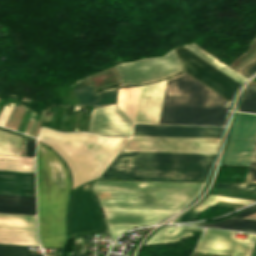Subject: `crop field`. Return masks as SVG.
Returning a JSON list of instances; mask_svg holds the SVG:
<instances>
[{
    "mask_svg": "<svg viewBox=\"0 0 256 256\" xmlns=\"http://www.w3.org/2000/svg\"><path fill=\"white\" fill-rule=\"evenodd\" d=\"M245 182H256V141Z\"/></svg>",
    "mask_w": 256,
    "mask_h": 256,
    "instance_id": "750c4746",
    "label": "crop field"
},
{
    "mask_svg": "<svg viewBox=\"0 0 256 256\" xmlns=\"http://www.w3.org/2000/svg\"><path fill=\"white\" fill-rule=\"evenodd\" d=\"M223 127L135 124L133 135L220 138Z\"/></svg>",
    "mask_w": 256,
    "mask_h": 256,
    "instance_id": "5142ce71",
    "label": "crop field"
},
{
    "mask_svg": "<svg viewBox=\"0 0 256 256\" xmlns=\"http://www.w3.org/2000/svg\"><path fill=\"white\" fill-rule=\"evenodd\" d=\"M212 194L256 200V193H250V192H242V191H234V190L215 188Z\"/></svg>",
    "mask_w": 256,
    "mask_h": 256,
    "instance_id": "ae1a2a85",
    "label": "crop field"
},
{
    "mask_svg": "<svg viewBox=\"0 0 256 256\" xmlns=\"http://www.w3.org/2000/svg\"><path fill=\"white\" fill-rule=\"evenodd\" d=\"M0 194L35 196V173L0 171Z\"/></svg>",
    "mask_w": 256,
    "mask_h": 256,
    "instance_id": "733c2abd",
    "label": "crop field"
},
{
    "mask_svg": "<svg viewBox=\"0 0 256 256\" xmlns=\"http://www.w3.org/2000/svg\"><path fill=\"white\" fill-rule=\"evenodd\" d=\"M186 47L195 52L196 54H198L199 56H201L202 58H204L205 60H207L208 62H210L211 64H213L215 67H217L218 69H220L221 71H223L239 83L242 84L244 81L247 80L235 71H233L232 69H230L229 67H227L226 65H224L223 63H221L220 61H218L217 59H215L214 57H212L211 55H209L208 53H206L205 51H203L202 49H200L199 47H197L196 45L191 44L186 45Z\"/></svg>",
    "mask_w": 256,
    "mask_h": 256,
    "instance_id": "dafd665d",
    "label": "crop field"
},
{
    "mask_svg": "<svg viewBox=\"0 0 256 256\" xmlns=\"http://www.w3.org/2000/svg\"><path fill=\"white\" fill-rule=\"evenodd\" d=\"M195 225L256 232V220H248V219L228 218L221 222L201 223V224H195Z\"/></svg>",
    "mask_w": 256,
    "mask_h": 256,
    "instance_id": "92a150f3",
    "label": "crop field"
},
{
    "mask_svg": "<svg viewBox=\"0 0 256 256\" xmlns=\"http://www.w3.org/2000/svg\"><path fill=\"white\" fill-rule=\"evenodd\" d=\"M38 140L63 157L76 187L98 178L129 138L102 137L91 133L59 134L42 128Z\"/></svg>",
    "mask_w": 256,
    "mask_h": 256,
    "instance_id": "f4fd0767",
    "label": "crop field"
},
{
    "mask_svg": "<svg viewBox=\"0 0 256 256\" xmlns=\"http://www.w3.org/2000/svg\"><path fill=\"white\" fill-rule=\"evenodd\" d=\"M71 256H84V254H76V255H71Z\"/></svg>",
    "mask_w": 256,
    "mask_h": 256,
    "instance_id": "03da06ac",
    "label": "crop field"
},
{
    "mask_svg": "<svg viewBox=\"0 0 256 256\" xmlns=\"http://www.w3.org/2000/svg\"><path fill=\"white\" fill-rule=\"evenodd\" d=\"M239 111L256 113V86H248L243 93Z\"/></svg>",
    "mask_w": 256,
    "mask_h": 256,
    "instance_id": "730fd06b",
    "label": "crop field"
},
{
    "mask_svg": "<svg viewBox=\"0 0 256 256\" xmlns=\"http://www.w3.org/2000/svg\"><path fill=\"white\" fill-rule=\"evenodd\" d=\"M229 102L186 73L166 82L159 124L224 125Z\"/></svg>",
    "mask_w": 256,
    "mask_h": 256,
    "instance_id": "412701ff",
    "label": "crop field"
},
{
    "mask_svg": "<svg viewBox=\"0 0 256 256\" xmlns=\"http://www.w3.org/2000/svg\"><path fill=\"white\" fill-rule=\"evenodd\" d=\"M0 197H13V198H28V199H35V197H28V196H13V195H0Z\"/></svg>",
    "mask_w": 256,
    "mask_h": 256,
    "instance_id": "b80d0937",
    "label": "crop field"
},
{
    "mask_svg": "<svg viewBox=\"0 0 256 256\" xmlns=\"http://www.w3.org/2000/svg\"><path fill=\"white\" fill-rule=\"evenodd\" d=\"M0 157H10V158H25V159H32V158H26V157H11V156H0Z\"/></svg>",
    "mask_w": 256,
    "mask_h": 256,
    "instance_id": "c21b1889",
    "label": "crop field"
},
{
    "mask_svg": "<svg viewBox=\"0 0 256 256\" xmlns=\"http://www.w3.org/2000/svg\"><path fill=\"white\" fill-rule=\"evenodd\" d=\"M133 123L115 105L95 108L89 131L131 137Z\"/></svg>",
    "mask_w": 256,
    "mask_h": 256,
    "instance_id": "cbeb9de0",
    "label": "crop field"
},
{
    "mask_svg": "<svg viewBox=\"0 0 256 256\" xmlns=\"http://www.w3.org/2000/svg\"><path fill=\"white\" fill-rule=\"evenodd\" d=\"M185 71L231 100L236 89L241 85L210 63L182 46L176 48Z\"/></svg>",
    "mask_w": 256,
    "mask_h": 256,
    "instance_id": "5a996713",
    "label": "crop field"
},
{
    "mask_svg": "<svg viewBox=\"0 0 256 256\" xmlns=\"http://www.w3.org/2000/svg\"><path fill=\"white\" fill-rule=\"evenodd\" d=\"M245 234H248L246 241L233 238V232L205 229L194 252L228 256H249L256 241V234Z\"/></svg>",
    "mask_w": 256,
    "mask_h": 256,
    "instance_id": "28ad6ade",
    "label": "crop field"
},
{
    "mask_svg": "<svg viewBox=\"0 0 256 256\" xmlns=\"http://www.w3.org/2000/svg\"><path fill=\"white\" fill-rule=\"evenodd\" d=\"M121 85H140L169 77L182 70L174 50L164 57L148 58L116 66Z\"/></svg>",
    "mask_w": 256,
    "mask_h": 256,
    "instance_id": "dd49c442",
    "label": "crop field"
},
{
    "mask_svg": "<svg viewBox=\"0 0 256 256\" xmlns=\"http://www.w3.org/2000/svg\"><path fill=\"white\" fill-rule=\"evenodd\" d=\"M141 86L119 88L117 104L134 122Z\"/></svg>",
    "mask_w": 256,
    "mask_h": 256,
    "instance_id": "214f88e0",
    "label": "crop field"
},
{
    "mask_svg": "<svg viewBox=\"0 0 256 256\" xmlns=\"http://www.w3.org/2000/svg\"><path fill=\"white\" fill-rule=\"evenodd\" d=\"M218 200L244 203V204H249V203L253 202L252 200H244V199H237V198H229V197L211 195L203 204H201L196 209L204 210V209L208 208L209 206H211L212 204H214L215 202H217Z\"/></svg>",
    "mask_w": 256,
    "mask_h": 256,
    "instance_id": "d3111659",
    "label": "crop field"
},
{
    "mask_svg": "<svg viewBox=\"0 0 256 256\" xmlns=\"http://www.w3.org/2000/svg\"><path fill=\"white\" fill-rule=\"evenodd\" d=\"M255 249V248H254Z\"/></svg>",
    "mask_w": 256,
    "mask_h": 256,
    "instance_id": "5d738f31",
    "label": "crop field"
},
{
    "mask_svg": "<svg viewBox=\"0 0 256 256\" xmlns=\"http://www.w3.org/2000/svg\"><path fill=\"white\" fill-rule=\"evenodd\" d=\"M215 155L121 151L101 177L206 180Z\"/></svg>",
    "mask_w": 256,
    "mask_h": 256,
    "instance_id": "34b2d1b8",
    "label": "crop field"
},
{
    "mask_svg": "<svg viewBox=\"0 0 256 256\" xmlns=\"http://www.w3.org/2000/svg\"><path fill=\"white\" fill-rule=\"evenodd\" d=\"M165 82L142 86L135 122H159Z\"/></svg>",
    "mask_w": 256,
    "mask_h": 256,
    "instance_id": "d9b57169",
    "label": "crop field"
},
{
    "mask_svg": "<svg viewBox=\"0 0 256 256\" xmlns=\"http://www.w3.org/2000/svg\"><path fill=\"white\" fill-rule=\"evenodd\" d=\"M35 142L28 140L27 156L34 157Z\"/></svg>",
    "mask_w": 256,
    "mask_h": 256,
    "instance_id": "028f5c9d",
    "label": "crop field"
},
{
    "mask_svg": "<svg viewBox=\"0 0 256 256\" xmlns=\"http://www.w3.org/2000/svg\"><path fill=\"white\" fill-rule=\"evenodd\" d=\"M203 229L204 228L189 226L164 227L161 228L145 245L178 242L183 237L192 236V232L183 230L202 232Z\"/></svg>",
    "mask_w": 256,
    "mask_h": 256,
    "instance_id": "bc2a9ffb",
    "label": "crop field"
},
{
    "mask_svg": "<svg viewBox=\"0 0 256 256\" xmlns=\"http://www.w3.org/2000/svg\"><path fill=\"white\" fill-rule=\"evenodd\" d=\"M0 243L40 246L35 216L0 214Z\"/></svg>",
    "mask_w": 256,
    "mask_h": 256,
    "instance_id": "22f410ed",
    "label": "crop field"
},
{
    "mask_svg": "<svg viewBox=\"0 0 256 256\" xmlns=\"http://www.w3.org/2000/svg\"><path fill=\"white\" fill-rule=\"evenodd\" d=\"M116 87L108 88L95 94L92 86L89 84L74 89V92L79 99L82 107L90 104L92 106H97L105 103L115 102Z\"/></svg>",
    "mask_w": 256,
    "mask_h": 256,
    "instance_id": "4a817a6b",
    "label": "crop field"
},
{
    "mask_svg": "<svg viewBox=\"0 0 256 256\" xmlns=\"http://www.w3.org/2000/svg\"><path fill=\"white\" fill-rule=\"evenodd\" d=\"M256 72V59L253 60L251 63L245 65L238 73L243 75L245 78H249Z\"/></svg>",
    "mask_w": 256,
    "mask_h": 256,
    "instance_id": "1d83c4d3",
    "label": "crop field"
},
{
    "mask_svg": "<svg viewBox=\"0 0 256 256\" xmlns=\"http://www.w3.org/2000/svg\"><path fill=\"white\" fill-rule=\"evenodd\" d=\"M0 200H13V201H27V202H35V200H27V199H13V198H0ZM36 208V207H35Z\"/></svg>",
    "mask_w": 256,
    "mask_h": 256,
    "instance_id": "0bd39190",
    "label": "crop field"
},
{
    "mask_svg": "<svg viewBox=\"0 0 256 256\" xmlns=\"http://www.w3.org/2000/svg\"><path fill=\"white\" fill-rule=\"evenodd\" d=\"M219 140L133 136L123 150L216 153Z\"/></svg>",
    "mask_w": 256,
    "mask_h": 256,
    "instance_id": "d8731c3e",
    "label": "crop field"
},
{
    "mask_svg": "<svg viewBox=\"0 0 256 256\" xmlns=\"http://www.w3.org/2000/svg\"><path fill=\"white\" fill-rule=\"evenodd\" d=\"M45 111V110H44ZM49 111V110H47ZM42 112L43 110L41 111V115H40V119H41V116H42ZM51 118H52V115L51 114H47V113H44L43 112V116H42V119L41 120H47V121H51ZM39 119V120H40Z\"/></svg>",
    "mask_w": 256,
    "mask_h": 256,
    "instance_id": "e1f06a70",
    "label": "crop field"
},
{
    "mask_svg": "<svg viewBox=\"0 0 256 256\" xmlns=\"http://www.w3.org/2000/svg\"><path fill=\"white\" fill-rule=\"evenodd\" d=\"M0 212L35 214L34 203L0 201Z\"/></svg>",
    "mask_w": 256,
    "mask_h": 256,
    "instance_id": "4177f3b9",
    "label": "crop field"
},
{
    "mask_svg": "<svg viewBox=\"0 0 256 256\" xmlns=\"http://www.w3.org/2000/svg\"><path fill=\"white\" fill-rule=\"evenodd\" d=\"M0 256H43L30 253L28 246L0 244Z\"/></svg>",
    "mask_w": 256,
    "mask_h": 256,
    "instance_id": "eef30255",
    "label": "crop field"
},
{
    "mask_svg": "<svg viewBox=\"0 0 256 256\" xmlns=\"http://www.w3.org/2000/svg\"><path fill=\"white\" fill-rule=\"evenodd\" d=\"M200 212L201 211H198V210H192V211L180 216L179 218H177L176 220H174L171 223H177V222H182V221H186V220H195Z\"/></svg>",
    "mask_w": 256,
    "mask_h": 256,
    "instance_id": "120bbe31",
    "label": "crop field"
},
{
    "mask_svg": "<svg viewBox=\"0 0 256 256\" xmlns=\"http://www.w3.org/2000/svg\"><path fill=\"white\" fill-rule=\"evenodd\" d=\"M65 111H66V108H64V111H63V117H62L61 126H63V123H64ZM61 130H63V127H61Z\"/></svg>",
    "mask_w": 256,
    "mask_h": 256,
    "instance_id": "c035e120",
    "label": "crop field"
},
{
    "mask_svg": "<svg viewBox=\"0 0 256 256\" xmlns=\"http://www.w3.org/2000/svg\"><path fill=\"white\" fill-rule=\"evenodd\" d=\"M6 108H7V106H4V108H3V110H2V112H1V114H0V120H1V118H2V116H3V114H4V112H5ZM12 108H13V107H9V108H8V110H7V112H6V114H5V116H4V118H3V120H2V122H1L0 125H2V126L5 125V123H6L7 119H8V116H9V114H10Z\"/></svg>",
    "mask_w": 256,
    "mask_h": 256,
    "instance_id": "5866460e",
    "label": "crop field"
},
{
    "mask_svg": "<svg viewBox=\"0 0 256 256\" xmlns=\"http://www.w3.org/2000/svg\"><path fill=\"white\" fill-rule=\"evenodd\" d=\"M20 137L0 130V155L18 156Z\"/></svg>",
    "mask_w": 256,
    "mask_h": 256,
    "instance_id": "00972430",
    "label": "crop field"
},
{
    "mask_svg": "<svg viewBox=\"0 0 256 256\" xmlns=\"http://www.w3.org/2000/svg\"><path fill=\"white\" fill-rule=\"evenodd\" d=\"M256 136V114L237 113L224 165L248 166Z\"/></svg>",
    "mask_w": 256,
    "mask_h": 256,
    "instance_id": "3316defc",
    "label": "crop field"
},
{
    "mask_svg": "<svg viewBox=\"0 0 256 256\" xmlns=\"http://www.w3.org/2000/svg\"><path fill=\"white\" fill-rule=\"evenodd\" d=\"M37 176L39 234L43 248H62L67 239L64 220L70 177L57 155L39 143Z\"/></svg>",
    "mask_w": 256,
    "mask_h": 256,
    "instance_id": "8a807250",
    "label": "crop field"
},
{
    "mask_svg": "<svg viewBox=\"0 0 256 256\" xmlns=\"http://www.w3.org/2000/svg\"><path fill=\"white\" fill-rule=\"evenodd\" d=\"M254 212H256V204L253 205V206H250V207H248V208H246V209H244V210H242V211H240V212H238V213H236L232 216L244 217V216L249 215V214L254 213Z\"/></svg>",
    "mask_w": 256,
    "mask_h": 256,
    "instance_id": "d32e631a",
    "label": "crop field"
},
{
    "mask_svg": "<svg viewBox=\"0 0 256 256\" xmlns=\"http://www.w3.org/2000/svg\"><path fill=\"white\" fill-rule=\"evenodd\" d=\"M251 256H256V250H254L253 254Z\"/></svg>",
    "mask_w": 256,
    "mask_h": 256,
    "instance_id": "b54c1fbb",
    "label": "crop field"
},
{
    "mask_svg": "<svg viewBox=\"0 0 256 256\" xmlns=\"http://www.w3.org/2000/svg\"><path fill=\"white\" fill-rule=\"evenodd\" d=\"M216 187L256 192V184H216Z\"/></svg>",
    "mask_w": 256,
    "mask_h": 256,
    "instance_id": "bd1437ed",
    "label": "crop field"
},
{
    "mask_svg": "<svg viewBox=\"0 0 256 256\" xmlns=\"http://www.w3.org/2000/svg\"><path fill=\"white\" fill-rule=\"evenodd\" d=\"M111 239L131 228L154 224L178 211L103 209Z\"/></svg>",
    "mask_w": 256,
    "mask_h": 256,
    "instance_id": "d1516ede",
    "label": "crop field"
},
{
    "mask_svg": "<svg viewBox=\"0 0 256 256\" xmlns=\"http://www.w3.org/2000/svg\"><path fill=\"white\" fill-rule=\"evenodd\" d=\"M203 184L104 180L92 189L102 208L181 210Z\"/></svg>",
    "mask_w": 256,
    "mask_h": 256,
    "instance_id": "ac0d7876",
    "label": "crop field"
},
{
    "mask_svg": "<svg viewBox=\"0 0 256 256\" xmlns=\"http://www.w3.org/2000/svg\"><path fill=\"white\" fill-rule=\"evenodd\" d=\"M0 170L35 172L34 159H10L0 158Z\"/></svg>",
    "mask_w": 256,
    "mask_h": 256,
    "instance_id": "a9b5d70f",
    "label": "crop field"
},
{
    "mask_svg": "<svg viewBox=\"0 0 256 256\" xmlns=\"http://www.w3.org/2000/svg\"><path fill=\"white\" fill-rule=\"evenodd\" d=\"M69 231L72 238L107 232L101 210L88 185L78 189L73 195Z\"/></svg>",
    "mask_w": 256,
    "mask_h": 256,
    "instance_id": "e52e79f7",
    "label": "crop field"
}]
</instances>
